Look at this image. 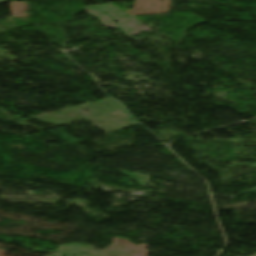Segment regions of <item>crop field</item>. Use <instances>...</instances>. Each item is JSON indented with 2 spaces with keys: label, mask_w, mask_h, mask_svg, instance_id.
Masks as SVG:
<instances>
[{
  "label": "crop field",
  "mask_w": 256,
  "mask_h": 256,
  "mask_svg": "<svg viewBox=\"0 0 256 256\" xmlns=\"http://www.w3.org/2000/svg\"><path fill=\"white\" fill-rule=\"evenodd\" d=\"M8 0H0V3L7 2Z\"/></svg>",
  "instance_id": "crop-field-1"
},
{
  "label": "crop field",
  "mask_w": 256,
  "mask_h": 256,
  "mask_svg": "<svg viewBox=\"0 0 256 256\" xmlns=\"http://www.w3.org/2000/svg\"><path fill=\"white\" fill-rule=\"evenodd\" d=\"M253 256H256V255H253Z\"/></svg>",
  "instance_id": "crop-field-2"
}]
</instances>
